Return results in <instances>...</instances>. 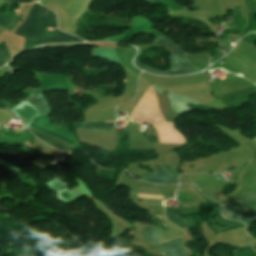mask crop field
<instances>
[{"label":"crop field","instance_id":"1","mask_svg":"<svg viewBox=\"0 0 256 256\" xmlns=\"http://www.w3.org/2000/svg\"><path fill=\"white\" fill-rule=\"evenodd\" d=\"M43 26H55L53 13L34 4L28 19L18 29L16 34L26 37L24 50L41 43L83 41L72 35L57 31L43 32Z\"/></svg>","mask_w":256,"mask_h":256},{"label":"crop field","instance_id":"5","mask_svg":"<svg viewBox=\"0 0 256 256\" xmlns=\"http://www.w3.org/2000/svg\"><path fill=\"white\" fill-rule=\"evenodd\" d=\"M177 176L178 175L171 171L169 165H167L163 168L153 170L152 173L141 175V179L154 183L166 184L177 182Z\"/></svg>","mask_w":256,"mask_h":256},{"label":"crop field","instance_id":"6","mask_svg":"<svg viewBox=\"0 0 256 256\" xmlns=\"http://www.w3.org/2000/svg\"><path fill=\"white\" fill-rule=\"evenodd\" d=\"M31 91L33 94H31L24 101L33 106L39 115H48L50 108L47 105L45 97L42 95V89L34 88L31 89Z\"/></svg>","mask_w":256,"mask_h":256},{"label":"crop field","instance_id":"8","mask_svg":"<svg viewBox=\"0 0 256 256\" xmlns=\"http://www.w3.org/2000/svg\"><path fill=\"white\" fill-rule=\"evenodd\" d=\"M100 125V127H96L97 125ZM115 122H83V123H76V128L81 129H92V130H103L108 131L109 129L114 127Z\"/></svg>","mask_w":256,"mask_h":256},{"label":"crop field","instance_id":"9","mask_svg":"<svg viewBox=\"0 0 256 256\" xmlns=\"http://www.w3.org/2000/svg\"><path fill=\"white\" fill-rule=\"evenodd\" d=\"M11 5L8 7V12L5 14L0 13V26L10 30L18 21L17 16H12L9 13V9L11 8Z\"/></svg>","mask_w":256,"mask_h":256},{"label":"crop field","instance_id":"11","mask_svg":"<svg viewBox=\"0 0 256 256\" xmlns=\"http://www.w3.org/2000/svg\"><path fill=\"white\" fill-rule=\"evenodd\" d=\"M11 57L9 55L8 49L5 42L0 44V66L10 61Z\"/></svg>","mask_w":256,"mask_h":256},{"label":"crop field","instance_id":"13","mask_svg":"<svg viewBox=\"0 0 256 256\" xmlns=\"http://www.w3.org/2000/svg\"><path fill=\"white\" fill-rule=\"evenodd\" d=\"M256 253V252H255ZM250 246L239 248L235 251V256H256Z\"/></svg>","mask_w":256,"mask_h":256},{"label":"crop field","instance_id":"2","mask_svg":"<svg viewBox=\"0 0 256 256\" xmlns=\"http://www.w3.org/2000/svg\"><path fill=\"white\" fill-rule=\"evenodd\" d=\"M155 41L158 42L162 47L169 49L171 51V58H170L171 69L165 72H161V71L146 67L143 64H141L139 61L136 66H138L143 70H146L158 75H182V74H189V73L200 71L194 68L192 65H190L187 62V60L184 57L183 51L174 42L169 40L167 37L163 35Z\"/></svg>","mask_w":256,"mask_h":256},{"label":"crop field","instance_id":"10","mask_svg":"<svg viewBox=\"0 0 256 256\" xmlns=\"http://www.w3.org/2000/svg\"><path fill=\"white\" fill-rule=\"evenodd\" d=\"M144 240L158 243V228H155V227L144 228Z\"/></svg>","mask_w":256,"mask_h":256},{"label":"crop field","instance_id":"17","mask_svg":"<svg viewBox=\"0 0 256 256\" xmlns=\"http://www.w3.org/2000/svg\"><path fill=\"white\" fill-rule=\"evenodd\" d=\"M0 210H6V209H5V208H1V207H0Z\"/></svg>","mask_w":256,"mask_h":256},{"label":"crop field","instance_id":"12","mask_svg":"<svg viewBox=\"0 0 256 256\" xmlns=\"http://www.w3.org/2000/svg\"><path fill=\"white\" fill-rule=\"evenodd\" d=\"M166 217L168 218V220L172 221L174 224L181 228L188 227L186 223L174 213L166 212Z\"/></svg>","mask_w":256,"mask_h":256},{"label":"crop field","instance_id":"4","mask_svg":"<svg viewBox=\"0 0 256 256\" xmlns=\"http://www.w3.org/2000/svg\"><path fill=\"white\" fill-rule=\"evenodd\" d=\"M33 122L41 125V126H44L54 132H57L65 137H68L76 142L77 139H76V136L74 133H71V132H67L70 128L67 127V126H60V127H57V126H54L48 119L47 117H44V116H38L36 117L35 119L32 120ZM29 130H31L35 135H37L41 140H43L45 143L55 147V148H58V149H62L64 151H70L72 150L74 147L68 145V144H65L61 141H58L44 133H41L39 131H36V130H33L31 128H29Z\"/></svg>","mask_w":256,"mask_h":256},{"label":"crop field","instance_id":"19","mask_svg":"<svg viewBox=\"0 0 256 256\" xmlns=\"http://www.w3.org/2000/svg\"><path fill=\"white\" fill-rule=\"evenodd\" d=\"M27 143V142H26ZM32 145V144H31Z\"/></svg>","mask_w":256,"mask_h":256},{"label":"crop field","instance_id":"18","mask_svg":"<svg viewBox=\"0 0 256 256\" xmlns=\"http://www.w3.org/2000/svg\"><path fill=\"white\" fill-rule=\"evenodd\" d=\"M2 184H3V183H0V188H1Z\"/></svg>","mask_w":256,"mask_h":256},{"label":"crop field","instance_id":"14","mask_svg":"<svg viewBox=\"0 0 256 256\" xmlns=\"http://www.w3.org/2000/svg\"><path fill=\"white\" fill-rule=\"evenodd\" d=\"M139 198L164 199L163 195H138Z\"/></svg>","mask_w":256,"mask_h":256},{"label":"crop field","instance_id":"3","mask_svg":"<svg viewBox=\"0 0 256 256\" xmlns=\"http://www.w3.org/2000/svg\"><path fill=\"white\" fill-rule=\"evenodd\" d=\"M224 215L230 219L240 220L246 225L256 221V193L224 206Z\"/></svg>","mask_w":256,"mask_h":256},{"label":"crop field","instance_id":"15","mask_svg":"<svg viewBox=\"0 0 256 256\" xmlns=\"http://www.w3.org/2000/svg\"><path fill=\"white\" fill-rule=\"evenodd\" d=\"M151 1H154L156 3H159V4H163V5H166V6H169L165 1L163 0H151Z\"/></svg>","mask_w":256,"mask_h":256},{"label":"crop field","instance_id":"7","mask_svg":"<svg viewBox=\"0 0 256 256\" xmlns=\"http://www.w3.org/2000/svg\"><path fill=\"white\" fill-rule=\"evenodd\" d=\"M182 240H174V241H170L164 244H161L157 247L158 251L162 252V251H166V250H170V249H174V248H178V247H182ZM163 254L167 255V256H187L186 251L182 248H178V249H174V250H170V251H166V252H162Z\"/></svg>","mask_w":256,"mask_h":256},{"label":"crop field","instance_id":"16","mask_svg":"<svg viewBox=\"0 0 256 256\" xmlns=\"http://www.w3.org/2000/svg\"><path fill=\"white\" fill-rule=\"evenodd\" d=\"M9 2H33L32 0H12Z\"/></svg>","mask_w":256,"mask_h":256}]
</instances>
